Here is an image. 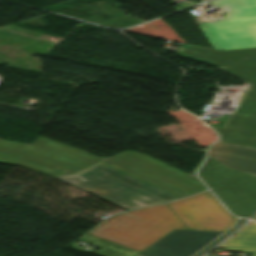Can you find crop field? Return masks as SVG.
<instances>
[{"label": "crop field", "instance_id": "8a807250", "mask_svg": "<svg viewBox=\"0 0 256 256\" xmlns=\"http://www.w3.org/2000/svg\"><path fill=\"white\" fill-rule=\"evenodd\" d=\"M227 212L205 191L112 216L82 239L99 246L94 253L102 256H134L174 228L225 231L235 223Z\"/></svg>", "mask_w": 256, "mask_h": 256}, {"label": "crop field", "instance_id": "ac0d7876", "mask_svg": "<svg viewBox=\"0 0 256 256\" xmlns=\"http://www.w3.org/2000/svg\"><path fill=\"white\" fill-rule=\"evenodd\" d=\"M57 179L86 190L126 210L175 200L178 197L99 163L76 175Z\"/></svg>", "mask_w": 256, "mask_h": 256}, {"label": "crop field", "instance_id": "34b2d1b8", "mask_svg": "<svg viewBox=\"0 0 256 256\" xmlns=\"http://www.w3.org/2000/svg\"><path fill=\"white\" fill-rule=\"evenodd\" d=\"M226 16L214 22L197 24L213 49L256 47V0H216Z\"/></svg>", "mask_w": 256, "mask_h": 256}, {"label": "crop field", "instance_id": "412701ff", "mask_svg": "<svg viewBox=\"0 0 256 256\" xmlns=\"http://www.w3.org/2000/svg\"><path fill=\"white\" fill-rule=\"evenodd\" d=\"M198 175L235 216L246 217L256 209V177L230 170L209 157Z\"/></svg>", "mask_w": 256, "mask_h": 256}, {"label": "crop field", "instance_id": "f4fd0767", "mask_svg": "<svg viewBox=\"0 0 256 256\" xmlns=\"http://www.w3.org/2000/svg\"><path fill=\"white\" fill-rule=\"evenodd\" d=\"M180 55L222 68L251 83L245 97L256 99V48L216 51L188 45Z\"/></svg>", "mask_w": 256, "mask_h": 256}, {"label": "crop field", "instance_id": "dd49c442", "mask_svg": "<svg viewBox=\"0 0 256 256\" xmlns=\"http://www.w3.org/2000/svg\"><path fill=\"white\" fill-rule=\"evenodd\" d=\"M223 232L174 230L138 256H191Z\"/></svg>", "mask_w": 256, "mask_h": 256}, {"label": "crop field", "instance_id": "e52e79f7", "mask_svg": "<svg viewBox=\"0 0 256 256\" xmlns=\"http://www.w3.org/2000/svg\"><path fill=\"white\" fill-rule=\"evenodd\" d=\"M214 129L222 142L256 148V100L243 98L228 126Z\"/></svg>", "mask_w": 256, "mask_h": 256}, {"label": "crop field", "instance_id": "d8731c3e", "mask_svg": "<svg viewBox=\"0 0 256 256\" xmlns=\"http://www.w3.org/2000/svg\"><path fill=\"white\" fill-rule=\"evenodd\" d=\"M208 156L237 171L256 173V150L215 143L209 148Z\"/></svg>", "mask_w": 256, "mask_h": 256}, {"label": "crop field", "instance_id": "5a996713", "mask_svg": "<svg viewBox=\"0 0 256 256\" xmlns=\"http://www.w3.org/2000/svg\"><path fill=\"white\" fill-rule=\"evenodd\" d=\"M236 236L230 238L219 248L227 250L251 251L256 256V222H253L241 229Z\"/></svg>", "mask_w": 256, "mask_h": 256}, {"label": "crop field", "instance_id": "3316defc", "mask_svg": "<svg viewBox=\"0 0 256 256\" xmlns=\"http://www.w3.org/2000/svg\"><path fill=\"white\" fill-rule=\"evenodd\" d=\"M254 218L256 219V216Z\"/></svg>", "mask_w": 256, "mask_h": 256}, {"label": "crop field", "instance_id": "28ad6ade", "mask_svg": "<svg viewBox=\"0 0 256 256\" xmlns=\"http://www.w3.org/2000/svg\"><path fill=\"white\" fill-rule=\"evenodd\" d=\"M204 1H207V0H204Z\"/></svg>", "mask_w": 256, "mask_h": 256}]
</instances>
